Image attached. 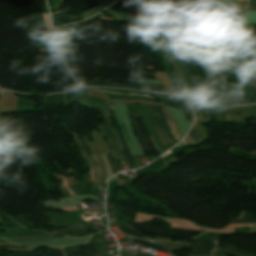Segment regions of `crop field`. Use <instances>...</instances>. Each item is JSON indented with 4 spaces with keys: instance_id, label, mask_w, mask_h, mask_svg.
<instances>
[{
    "instance_id": "obj_33",
    "label": "crop field",
    "mask_w": 256,
    "mask_h": 256,
    "mask_svg": "<svg viewBox=\"0 0 256 256\" xmlns=\"http://www.w3.org/2000/svg\"><path fill=\"white\" fill-rule=\"evenodd\" d=\"M208 107V106H207ZM209 109V114H210V119L211 121H215L214 117H213V112H212V109L210 107H208Z\"/></svg>"
},
{
    "instance_id": "obj_15",
    "label": "crop field",
    "mask_w": 256,
    "mask_h": 256,
    "mask_svg": "<svg viewBox=\"0 0 256 256\" xmlns=\"http://www.w3.org/2000/svg\"><path fill=\"white\" fill-rule=\"evenodd\" d=\"M100 16H102V15L100 13H98V14L92 16L91 18L85 20V21H81V22L73 23V24H70V25H67V26H63V27H60V28H56V31H57V33H59V32L70 30V29L75 28V27H77L79 25H82V24L87 23V22H89L91 20H94V19H96V18H98Z\"/></svg>"
},
{
    "instance_id": "obj_38",
    "label": "crop field",
    "mask_w": 256,
    "mask_h": 256,
    "mask_svg": "<svg viewBox=\"0 0 256 256\" xmlns=\"http://www.w3.org/2000/svg\"><path fill=\"white\" fill-rule=\"evenodd\" d=\"M86 256H94V255L91 254V255H86Z\"/></svg>"
},
{
    "instance_id": "obj_16",
    "label": "crop field",
    "mask_w": 256,
    "mask_h": 256,
    "mask_svg": "<svg viewBox=\"0 0 256 256\" xmlns=\"http://www.w3.org/2000/svg\"><path fill=\"white\" fill-rule=\"evenodd\" d=\"M244 86H245V90L248 94V98L250 102H256V96L254 93V89H253V85L249 79V77H247L244 82H243Z\"/></svg>"
},
{
    "instance_id": "obj_31",
    "label": "crop field",
    "mask_w": 256,
    "mask_h": 256,
    "mask_svg": "<svg viewBox=\"0 0 256 256\" xmlns=\"http://www.w3.org/2000/svg\"><path fill=\"white\" fill-rule=\"evenodd\" d=\"M76 246L78 249H84V248L92 247L93 245L91 243H89V244H84V245L78 244Z\"/></svg>"
},
{
    "instance_id": "obj_34",
    "label": "crop field",
    "mask_w": 256,
    "mask_h": 256,
    "mask_svg": "<svg viewBox=\"0 0 256 256\" xmlns=\"http://www.w3.org/2000/svg\"><path fill=\"white\" fill-rule=\"evenodd\" d=\"M62 209L66 210V211H71V210H77V207H64Z\"/></svg>"
},
{
    "instance_id": "obj_12",
    "label": "crop field",
    "mask_w": 256,
    "mask_h": 256,
    "mask_svg": "<svg viewBox=\"0 0 256 256\" xmlns=\"http://www.w3.org/2000/svg\"><path fill=\"white\" fill-rule=\"evenodd\" d=\"M157 95H159V97L161 98L164 105L174 106V107H177L178 110H182L179 100H178V97L161 95V94H157Z\"/></svg>"
},
{
    "instance_id": "obj_13",
    "label": "crop field",
    "mask_w": 256,
    "mask_h": 256,
    "mask_svg": "<svg viewBox=\"0 0 256 256\" xmlns=\"http://www.w3.org/2000/svg\"><path fill=\"white\" fill-rule=\"evenodd\" d=\"M158 28H159V27L157 26L156 29H155L156 44H157V46H158L160 52L163 53V54L165 55V57L167 58V60H168V62H169V65H170V67H171V70H172V72H173V74H174V76H175L177 82H178V83L180 84V86H181L183 95L188 96V95H187V92H186V89H185L184 85L182 84L181 80L179 79L178 75L176 74V72H175V70H174V68H173V66H172V64H171V62H170V60L168 59L167 55L161 50V48H160V46H159L158 37H157Z\"/></svg>"
},
{
    "instance_id": "obj_22",
    "label": "crop field",
    "mask_w": 256,
    "mask_h": 256,
    "mask_svg": "<svg viewBox=\"0 0 256 256\" xmlns=\"http://www.w3.org/2000/svg\"><path fill=\"white\" fill-rule=\"evenodd\" d=\"M228 49V48H227ZM230 50V49H229ZM231 51V50H230ZM232 52V51H231ZM233 53V52H232ZM233 55H234V57L236 58V60H237V63L238 64H236L235 65V70L237 71V73H238V75H239V77H240V79H241V81L243 80V78L247 75V73H246V71H245V69L243 68V66L241 65V63L239 62V60L237 59V57L235 56V54L233 53Z\"/></svg>"
},
{
    "instance_id": "obj_23",
    "label": "crop field",
    "mask_w": 256,
    "mask_h": 256,
    "mask_svg": "<svg viewBox=\"0 0 256 256\" xmlns=\"http://www.w3.org/2000/svg\"><path fill=\"white\" fill-rule=\"evenodd\" d=\"M242 226H250L252 227L253 224H230L229 226H227L226 228L224 229H221V230H211V229H205V228H202V230H210V231H223V232H233V228L234 227H242Z\"/></svg>"
},
{
    "instance_id": "obj_30",
    "label": "crop field",
    "mask_w": 256,
    "mask_h": 256,
    "mask_svg": "<svg viewBox=\"0 0 256 256\" xmlns=\"http://www.w3.org/2000/svg\"><path fill=\"white\" fill-rule=\"evenodd\" d=\"M190 136H192L193 137V139H194V141H195V143H197L198 141H199V139H200V136L197 134V133H195L192 129H191V131H190Z\"/></svg>"
},
{
    "instance_id": "obj_32",
    "label": "crop field",
    "mask_w": 256,
    "mask_h": 256,
    "mask_svg": "<svg viewBox=\"0 0 256 256\" xmlns=\"http://www.w3.org/2000/svg\"><path fill=\"white\" fill-rule=\"evenodd\" d=\"M78 137L81 139V141H82V143H83V145H84V147H85V149H86L88 155L90 156L91 154H90V152H89V149H88V147H87V144H86L84 138L81 137V136H79V135H78Z\"/></svg>"
},
{
    "instance_id": "obj_25",
    "label": "crop field",
    "mask_w": 256,
    "mask_h": 256,
    "mask_svg": "<svg viewBox=\"0 0 256 256\" xmlns=\"http://www.w3.org/2000/svg\"><path fill=\"white\" fill-rule=\"evenodd\" d=\"M94 248H91V249H94ZM85 250H88V249H85ZM85 250L67 252V253H64V254H65V256H81V255H85V254H90V253H87ZM92 253H96V252H92Z\"/></svg>"
},
{
    "instance_id": "obj_36",
    "label": "crop field",
    "mask_w": 256,
    "mask_h": 256,
    "mask_svg": "<svg viewBox=\"0 0 256 256\" xmlns=\"http://www.w3.org/2000/svg\"><path fill=\"white\" fill-rule=\"evenodd\" d=\"M252 109H253L254 115H256V106H252Z\"/></svg>"
},
{
    "instance_id": "obj_26",
    "label": "crop field",
    "mask_w": 256,
    "mask_h": 256,
    "mask_svg": "<svg viewBox=\"0 0 256 256\" xmlns=\"http://www.w3.org/2000/svg\"><path fill=\"white\" fill-rule=\"evenodd\" d=\"M256 221L254 217H252V215L250 214H246L244 212H242V216L240 218H238L237 220L235 221Z\"/></svg>"
},
{
    "instance_id": "obj_3",
    "label": "crop field",
    "mask_w": 256,
    "mask_h": 256,
    "mask_svg": "<svg viewBox=\"0 0 256 256\" xmlns=\"http://www.w3.org/2000/svg\"><path fill=\"white\" fill-rule=\"evenodd\" d=\"M129 118L132 122L135 134L138 138L139 144L144 152V155H153L156 156L158 153L155 149L152 141L150 140L144 126L142 116L129 115ZM156 150L157 153L151 154V151Z\"/></svg>"
},
{
    "instance_id": "obj_17",
    "label": "crop field",
    "mask_w": 256,
    "mask_h": 256,
    "mask_svg": "<svg viewBox=\"0 0 256 256\" xmlns=\"http://www.w3.org/2000/svg\"><path fill=\"white\" fill-rule=\"evenodd\" d=\"M223 110H224V113H225V116H226L225 122H230V121L240 122L239 121V115H238V112H237L236 108L228 109L231 119H229V114L227 112V109H223Z\"/></svg>"
},
{
    "instance_id": "obj_19",
    "label": "crop field",
    "mask_w": 256,
    "mask_h": 256,
    "mask_svg": "<svg viewBox=\"0 0 256 256\" xmlns=\"http://www.w3.org/2000/svg\"><path fill=\"white\" fill-rule=\"evenodd\" d=\"M88 91L91 92H100V93H109V94H117V95H125V96H141V97H146V98H150L152 100H155L152 96L150 95H137V94H131V93H114V92H109V91H104V90H100V89H93V88H88ZM156 101V100H155Z\"/></svg>"
},
{
    "instance_id": "obj_9",
    "label": "crop field",
    "mask_w": 256,
    "mask_h": 256,
    "mask_svg": "<svg viewBox=\"0 0 256 256\" xmlns=\"http://www.w3.org/2000/svg\"><path fill=\"white\" fill-rule=\"evenodd\" d=\"M177 34H178V30H175V35H174V39H173V42L176 46V48L178 49V51L181 53L182 57L184 58L185 62L187 63L188 67L190 68L194 78L196 79V81L199 83L200 85V88H201V91H202V94L204 96V99L205 101L209 102V97H208V94L204 88V86L202 85V83L200 82V80L198 79L191 63L189 62L188 58L185 56V54L181 51V49L179 48L178 44H177Z\"/></svg>"
},
{
    "instance_id": "obj_37",
    "label": "crop field",
    "mask_w": 256,
    "mask_h": 256,
    "mask_svg": "<svg viewBox=\"0 0 256 256\" xmlns=\"http://www.w3.org/2000/svg\"><path fill=\"white\" fill-rule=\"evenodd\" d=\"M92 174H93L94 181H96L94 172H92Z\"/></svg>"
},
{
    "instance_id": "obj_29",
    "label": "crop field",
    "mask_w": 256,
    "mask_h": 256,
    "mask_svg": "<svg viewBox=\"0 0 256 256\" xmlns=\"http://www.w3.org/2000/svg\"><path fill=\"white\" fill-rule=\"evenodd\" d=\"M108 97L109 98H118V99H144V100H148V99L140 98V97H125V96H113V95H108ZM150 101H152V100H150Z\"/></svg>"
},
{
    "instance_id": "obj_4",
    "label": "crop field",
    "mask_w": 256,
    "mask_h": 256,
    "mask_svg": "<svg viewBox=\"0 0 256 256\" xmlns=\"http://www.w3.org/2000/svg\"><path fill=\"white\" fill-rule=\"evenodd\" d=\"M135 225L137 226L139 232H144V233H152L153 231L157 233V236H161V237H168V238H173V239H178V238H182L183 236H186V238H191L194 237L196 235L200 234V231H194V230H182V229H173V228H169L167 230H162V231H156V230H152L146 227H143L141 225H139L138 223L134 222ZM168 230H172V233H168Z\"/></svg>"
},
{
    "instance_id": "obj_10",
    "label": "crop field",
    "mask_w": 256,
    "mask_h": 256,
    "mask_svg": "<svg viewBox=\"0 0 256 256\" xmlns=\"http://www.w3.org/2000/svg\"><path fill=\"white\" fill-rule=\"evenodd\" d=\"M163 112H164L165 119H166V122H167L170 130H171L172 134L174 135L175 139L178 142L181 139L182 135L179 132V130L177 128V125H176L171 113L169 111H167L166 109H164V108H163Z\"/></svg>"
},
{
    "instance_id": "obj_35",
    "label": "crop field",
    "mask_w": 256,
    "mask_h": 256,
    "mask_svg": "<svg viewBox=\"0 0 256 256\" xmlns=\"http://www.w3.org/2000/svg\"><path fill=\"white\" fill-rule=\"evenodd\" d=\"M141 85L154 87V85H152V84H148V83H141Z\"/></svg>"
},
{
    "instance_id": "obj_14",
    "label": "crop field",
    "mask_w": 256,
    "mask_h": 256,
    "mask_svg": "<svg viewBox=\"0 0 256 256\" xmlns=\"http://www.w3.org/2000/svg\"><path fill=\"white\" fill-rule=\"evenodd\" d=\"M105 102H106L107 119H108L109 124H110V127H111V129H112V131H113V134H114V136H115V138H116V140H117V143H118V145H119V147H120V152H121L122 158H123V160H124V162H125V164H126V166H127V169L129 170L128 162H127V159H126V157H125V155H124L123 147H122V145H121V143H120V141H119V139H118V137H117V134H116V132H115V130H114V127L112 126V123H111V121H110V119H109V117H110V109H109L108 101H105Z\"/></svg>"
},
{
    "instance_id": "obj_24",
    "label": "crop field",
    "mask_w": 256,
    "mask_h": 256,
    "mask_svg": "<svg viewBox=\"0 0 256 256\" xmlns=\"http://www.w3.org/2000/svg\"><path fill=\"white\" fill-rule=\"evenodd\" d=\"M109 5H111V4L101 5V6H99V7H96V8H94V9H91V10L85 12L83 19L86 18V17H88V16H91V15L97 13L98 11H100V10L106 8V7L109 6Z\"/></svg>"
},
{
    "instance_id": "obj_5",
    "label": "crop field",
    "mask_w": 256,
    "mask_h": 256,
    "mask_svg": "<svg viewBox=\"0 0 256 256\" xmlns=\"http://www.w3.org/2000/svg\"><path fill=\"white\" fill-rule=\"evenodd\" d=\"M152 218H153L152 215L137 213L135 221L143 223V221H145V220L150 221V220H152ZM162 218L165 221L169 222L172 225L171 227H173V228H184V229L200 230V227H196L193 223H190L186 220L174 219V218H165V217H162Z\"/></svg>"
},
{
    "instance_id": "obj_21",
    "label": "crop field",
    "mask_w": 256,
    "mask_h": 256,
    "mask_svg": "<svg viewBox=\"0 0 256 256\" xmlns=\"http://www.w3.org/2000/svg\"><path fill=\"white\" fill-rule=\"evenodd\" d=\"M133 242H134V243L141 244V245H144V246H146V247H148V248H153V249H158V250H162V251H166V252H168L164 247L157 246V245L152 244V243L147 242V241L134 239V241H133Z\"/></svg>"
},
{
    "instance_id": "obj_28",
    "label": "crop field",
    "mask_w": 256,
    "mask_h": 256,
    "mask_svg": "<svg viewBox=\"0 0 256 256\" xmlns=\"http://www.w3.org/2000/svg\"><path fill=\"white\" fill-rule=\"evenodd\" d=\"M106 155H107L108 160H109V162H110V164H111V166H112V171H113V173L116 172L117 169H116L115 162H114V160H113V158H112V154L109 153V154H106Z\"/></svg>"
},
{
    "instance_id": "obj_1",
    "label": "crop field",
    "mask_w": 256,
    "mask_h": 256,
    "mask_svg": "<svg viewBox=\"0 0 256 256\" xmlns=\"http://www.w3.org/2000/svg\"><path fill=\"white\" fill-rule=\"evenodd\" d=\"M243 9L244 8L219 11L216 14H214L212 17L208 18L207 20L200 23L199 25H197L196 27H194L193 29L189 30L186 33H189L191 35L201 38V36L204 33L214 29L215 27L223 24L227 20L233 18L238 13H240ZM167 32H168V28H166L165 36H164V44L168 48L167 43H166ZM189 34L187 35L188 44L193 49V51L196 53V55L198 56L201 66L203 67L204 71L206 72V74L210 78L211 82L213 83V85L217 91V94H218V97L220 100V104L221 105L234 104L231 94H230V91H229V88H228V85H227L226 81L224 80V78L219 73V71L214 63V59L203 49L200 39L197 37L191 36ZM178 42H179L180 47L183 49V51L185 53H187V51H186L187 49L190 51V53H192V51L189 49V47L186 43V34L185 33L179 31ZM168 50L174 56L180 70L182 71L183 75L186 77V79L191 87L193 97L198 100V96H197L195 87H194L193 83L187 78L179 59L176 57L174 52H172L169 48H168Z\"/></svg>"
},
{
    "instance_id": "obj_18",
    "label": "crop field",
    "mask_w": 256,
    "mask_h": 256,
    "mask_svg": "<svg viewBox=\"0 0 256 256\" xmlns=\"http://www.w3.org/2000/svg\"><path fill=\"white\" fill-rule=\"evenodd\" d=\"M50 254H63L62 250H56V251H50ZM11 256H47L49 254L46 255H42L41 252H34V253H10ZM59 256H63V255H59Z\"/></svg>"
},
{
    "instance_id": "obj_20",
    "label": "crop field",
    "mask_w": 256,
    "mask_h": 256,
    "mask_svg": "<svg viewBox=\"0 0 256 256\" xmlns=\"http://www.w3.org/2000/svg\"><path fill=\"white\" fill-rule=\"evenodd\" d=\"M196 104V103H195ZM201 121H210L207 107L204 105L196 104Z\"/></svg>"
},
{
    "instance_id": "obj_11",
    "label": "crop field",
    "mask_w": 256,
    "mask_h": 256,
    "mask_svg": "<svg viewBox=\"0 0 256 256\" xmlns=\"http://www.w3.org/2000/svg\"><path fill=\"white\" fill-rule=\"evenodd\" d=\"M109 103H110V109H111V119H112V121H113V125H114V127H115V129H116V132H117V134H118V136H119V138H120V140H121V142H122V144H123V146H124L125 154H126V157H127V159H128V162H129L130 165H134L133 168H136L135 162H134V160L132 159L131 154H130V152H129V150H128V148H127V146H126V144H125V142H124V140H123V138H122V135H121V133H120L118 127H117V124H116V122H115V120H114V111H113L112 102H109Z\"/></svg>"
},
{
    "instance_id": "obj_27",
    "label": "crop field",
    "mask_w": 256,
    "mask_h": 256,
    "mask_svg": "<svg viewBox=\"0 0 256 256\" xmlns=\"http://www.w3.org/2000/svg\"><path fill=\"white\" fill-rule=\"evenodd\" d=\"M90 85H100V84H90ZM104 85H105V86H113V87L139 88V89H146V90H152V91H155V89H152V88H144V87L121 86V85H112V84H104Z\"/></svg>"
},
{
    "instance_id": "obj_6",
    "label": "crop field",
    "mask_w": 256,
    "mask_h": 256,
    "mask_svg": "<svg viewBox=\"0 0 256 256\" xmlns=\"http://www.w3.org/2000/svg\"><path fill=\"white\" fill-rule=\"evenodd\" d=\"M106 11L110 12L116 17V20H126V21H132L131 15L133 13H138L133 10L128 9L127 7L123 5H113L112 7L108 8Z\"/></svg>"
},
{
    "instance_id": "obj_8",
    "label": "crop field",
    "mask_w": 256,
    "mask_h": 256,
    "mask_svg": "<svg viewBox=\"0 0 256 256\" xmlns=\"http://www.w3.org/2000/svg\"><path fill=\"white\" fill-rule=\"evenodd\" d=\"M173 31H174V30L169 29V36H168V45H169V48L172 49V50L176 53V55L179 57V59H180L181 63L183 64V66H184V68H185V70H186L188 76L190 77V79L192 80V82L194 83V85H195V87H196V90H197V92H198L199 98H200L201 100H203V96H202V94H201V92H200V89H199V87H198V85H197L195 79L193 78L192 74L190 73V71H189L188 67L186 66V64H185V62H184V60H183V58H182L181 55H180V53L174 48V46H173V44H172Z\"/></svg>"
},
{
    "instance_id": "obj_7",
    "label": "crop field",
    "mask_w": 256,
    "mask_h": 256,
    "mask_svg": "<svg viewBox=\"0 0 256 256\" xmlns=\"http://www.w3.org/2000/svg\"><path fill=\"white\" fill-rule=\"evenodd\" d=\"M192 247L195 251L192 254H212L217 247V241H194Z\"/></svg>"
},
{
    "instance_id": "obj_2",
    "label": "crop field",
    "mask_w": 256,
    "mask_h": 256,
    "mask_svg": "<svg viewBox=\"0 0 256 256\" xmlns=\"http://www.w3.org/2000/svg\"><path fill=\"white\" fill-rule=\"evenodd\" d=\"M45 21L48 27L49 36L53 35L52 27L49 21L48 14H44ZM44 21L43 14L29 15L23 26L26 34L32 39V45H36L40 41L48 37L47 27Z\"/></svg>"
}]
</instances>
